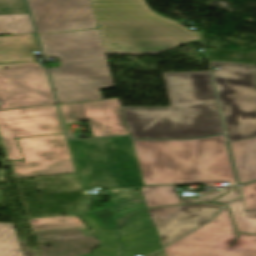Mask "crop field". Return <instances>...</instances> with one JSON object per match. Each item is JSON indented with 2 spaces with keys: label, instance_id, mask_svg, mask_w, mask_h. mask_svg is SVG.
<instances>
[{
  "label": "crop field",
  "instance_id": "obj_11",
  "mask_svg": "<svg viewBox=\"0 0 256 256\" xmlns=\"http://www.w3.org/2000/svg\"><path fill=\"white\" fill-rule=\"evenodd\" d=\"M59 106L65 124L89 119L94 137L129 134L118 98Z\"/></svg>",
  "mask_w": 256,
  "mask_h": 256
},
{
  "label": "crop field",
  "instance_id": "obj_8",
  "mask_svg": "<svg viewBox=\"0 0 256 256\" xmlns=\"http://www.w3.org/2000/svg\"><path fill=\"white\" fill-rule=\"evenodd\" d=\"M17 140L25 160L10 162L16 178L76 172L65 134Z\"/></svg>",
  "mask_w": 256,
  "mask_h": 256
},
{
  "label": "crop field",
  "instance_id": "obj_27",
  "mask_svg": "<svg viewBox=\"0 0 256 256\" xmlns=\"http://www.w3.org/2000/svg\"><path fill=\"white\" fill-rule=\"evenodd\" d=\"M152 256H163V252L160 251V252H158V253H156V254H154V255H152Z\"/></svg>",
  "mask_w": 256,
  "mask_h": 256
},
{
  "label": "crop field",
  "instance_id": "obj_22",
  "mask_svg": "<svg viewBox=\"0 0 256 256\" xmlns=\"http://www.w3.org/2000/svg\"><path fill=\"white\" fill-rule=\"evenodd\" d=\"M28 13L24 0H0V15Z\"/></svg>",
  "mask_w": 256,
  "mask_h": 256
},
{
  "label": "crop field",
  "instance_id": "obj_26",
  "mask_svg": "<svg viewBox=\"0 0 256 256\" xmlns=\"http://www.w3.org/2000/svg\"><path fill=\"white\" fill-rule=\"evenodd\" d=\"M240 195L239 191H238V188L233 190L232 192L226 194L225 196L219 198L218 200L214 201V202H220L222 204H226L236 198H238Z\"/></svg>",
  "mask_w": 256,
  "mask_h": 256
},
{
  "label": "crop field",
  "instance_id": "obj_10",
  "mask_svg": "<svg viewBox=\"0 0 256 256\" xmlns=\"http://www.w3.org/2000/svg\"><path fill=\"white\" fill-rule=\"evenodd\" d=\"M38 34L98 28L90 0H27Z\"/></svg>",
  "mask_w": 256,
  "mask_h": 256
},
{
  "label": "crop field",
  "instance_id": "obj_16",
  "mask_svg": "<svg viewBox=\"0 0 256 256\" xmlns=\"http://www.w3.org/2000/svg\"><path fill=\"white\" fill-rule=\"evenodd\" d=\"M120 243L124 245V251L136 253H149L162 247L154 227L121 237Z\"/></svg>",
  "mask_w": 256,
  "mask_h": 256
},
{
  "label": "crop field",
  "instance_id": "obj_25",
  "mask_svg": "<svg viewBox=\"0 0 256 256\" xmlns=\"http://www.w3.org/2000/svg\"><path fill=\"white\" fill-rule=\"evenodd\" d=\"M92 253L98 256H119L121 252L118 250L109 248L107 246H103L96 249Z\"/></svg>",
  "mask_w": 256,
  "mask_h": 256
},
{
  "label": "crop field",
  "instance_id": "obj_20",
  "mask_svg": "<svg viewBox=\"0 0 256 256\" xmlns=\"http://www.w3.org/2000/svg\"><path fill=\"white\" fill-rule=\"evenodd\" d=\"M116 222L120 237L152 227L148 210L118 219Z\"/></svg>",
  "mask_w": 256,
  "mask_h": 256
},
{
  "label": "crop field",
  "instance_id": "obj_6",
  "mask_svg": "<svg viewBox=\"0 0 256 256\" xmlns=\"http://www.w3.org/2000/svg\"><path fill=\"white\" fill-rule=\"evenodd\" d=\"M166 256H256V236L237 237L228 209L164 249Z\"/></svg>",
  "mask_w": 256,
  "mask_h": 256
},
{
  "label": "crop field",
  "instance_id": "obj_4",
  "mask_svg": "<svg viewBox=\"0 0 256 256\" xmlns=\"http://www.w3.org/2000/svg\"><path fill=\"white\" fill-rule=\"evenodd\" d=\"M59 104L104 99L98 88L114 87L99 29L39 35Z\"/></svg>",
  "mask_w": 256,
  "mask_h": 256
},
{
  "label": "crop field",
  "instance_id": "obj_2",
  "mask_svg": "<svg viewBox=\"0 0 256 256\" xmlns=\"http://www.w3.org/2000/svg\"><path fill=\"white\" fill-rule=\"evenodd\" d=\"M145 185H237L225 135L183 141H132Z\"/></svg>",
  "mask_w": 256,
  "mask_h": 256
},
{
  "label": "crop field",
  "instance_id": "obj_1",
  "mask_svg": "<svg viewBox=\"0 0 256 256\" xmlns=\"http://www.w3.org/2000/svg\"><path fill=\"white\" fill-rule=\"evenodd\" d=\"M163 74L172 107H122L130 135L191 138L224 133L209 71Z\"/></svg>",
  "mask_w": 256,
  "mask_h": 256
},
{
  "label": "crop field",
  "instance_id": "obj_13",
  "mask_svg": "<svg viewBox=\"0 0 256 256\" xmlns=\"http://www.w3.org/2000/svg\"><path fill=\"white\" fill-rule=\"evenodd\" d=\"M37 50L34 34L0 36V64L36 61L33 51Z\"/></svg>",
  "mask_w": 256,
  "mask_h": 256
},
{
  "label": "crop field",
  "instance_id": "obj_3",
  "mask_svg": "<svg viewBox=\"0 0 256 256\" xmlns=\"http://www.w3.org/2000/svg\"><path fill=\"white\" fill-rule=\"evenodd\" d=\"M91 2L107 55L157 54L201 39L199 31L152 12L144 0Z\"/></svg>",
  "mask_w": 256,
  "mask_h": 256
},
{
  "label": "crop field",
  "instance_id": "obj_24",
  "mask_svg": "<svg viewBox=\"0 0 256 256\" xmlns=\"http://www.w3.org/2000/svg\"><path fill=\"white\" fill-rule=\"evenodd\" d=\"M235 187H224L223 191H219V190H212L208 193H206L205 195L200 196L197 199H186V200H181L182 204L185 203H192V202H198V201H211L217 197H219L220 195L228 192L229 190L233 189Z\"/></svg>",
  "mask_w": 256,
  "mask_h": 256
},
{
  "label": "crop field",
  "instance_id": "obj_17",
  "mask_svg": "<svg viewBox=\"0 0 256 256\" xmlns=\"http://www.w3.org/2000/svg\"><path fill=\"white\" fill-rule=\"evenodd\" d=\"M142 191L148 207L181 204L179 195L174 186L144 187Z\"/></svg>",
  "mask_w": 256,
  "mask_h": 256
},
{
  "label": "crop field",
  "instance_id": "obj_21",
  "mask_svg": "<svg viewBox=\"0 0 256 256\" xmlns=\"http://www.w3.org/2000/svg\"><path fill=\"white\" fill-rule=\"evenodd\" d=\"M0 256H23L12 224L0 223Z\"/></svg>",
  "mask_w": 256,
  "mask_h": 256
},
{
  "label": "crop field",
  "instance_id": "obj_19",
  "mask_svg": "<svg viewBox=\"0 0 256 256\" xmlns=\"http://www.w3.org/2000/svg\"><path fill=\"white\" fill-rule=\"evenodd\" d=\"M35 33L28 14L0 16V34Z\"/></svg>",
  "mask_w": 256,
  "mask_h": 256
},
{
  "label": "crop field",
  "instance_id": "obj_5",
  "mask_svg": "<svg viewBox=\"0 0 256 256\" xmlns=\"http://www.w3.org/2000/svg\"><path fill=\"white\" fill-rule=\"evenodd\" d=\"M210 63L230 141L255 137L256 65Z\"/></svg>",
  "mask_w": 256,
  "mask_h": 256
},
{
  "label": "crop field",
  "instance_id": "obj_15",
  "mask_svg": "<svg viewBox=\"0 0 256 256\" xmlns=\"http://www.w3.org/2000/svg\"><path fill=\"white\" fill-rule=\"evenodd\" d=\"M81 218L104 244L120 249L121 245L116 242L117 234L111 207Z\"/></svg>",
  "mask_w": 256,
  "mask_h": 256
},
{
  "label": "crop field",
  "instance_id": "obj_14",
  "mask_svg": "<svg viewBox=\"0 0 256 256\" xmlns=\"http://www.w3.org/2000/svg\"><path fill=\"white\" fill-rule=\"evenodd\" d=\"M239 182L256 180V138L230 143Z\"/></svg>",
  "mask_w": 256,
  "mask_h": 256
},
{
  "label": "crop field",
  "instance_id": "obj_23",
  "mask_svg": "<svg viewBox=\"0 0 256 256\" xmlns=\"http://www.w3.org/2000/svg\"><path fill=\"white\" fill-rule=\"evenodd\" d=\"M246 210L256 209V183L242 186Z\"/></svg>",
  "mask_w": 256,
  "mask_h": 256
},
{
  "label": "crop field",
  "instance_id": "obj_7",
  "mask_svg": "<svg viewBox=\"0 0 256 256\" xmlns=\"http://www.w3.org/2000/svg\"><path fill=\"white\" fill-rule=\"evenodd\" d=\"M51 104L48 75L38 62L0 65V110Z\"/></svg>",
  "mask_w": 256,
  "mask_h": 256
},
{
  "label": "crop field",
  "instance_id": "obj_9",
  "mask_svg": "<svg viewBox=\"0 0 256 256\" xmlns=\"http://www.w3.org/2000/svg\"><path fill=\"white\" fill-rule=\"evenodd\" d=\"M64 133L56 105L0 111V134L10 160L23 159L15 137Z\"/></svg>",
  "mask_w": 256,
  "mask_h": 256
},
{
  "label": "crop field",
  "instance_id": "obj_18",
  "mask_svg": "<svg viewBox=\"0 0 256 256\" xmlns=\"http://www.w3.org/2000/svg\"><path fill=\"white\" fill-rule=\"evenodd\" d=\"M238 232L256 234V210L245 211L243 199L228 205Z\"/></svg>",
  "mask_w": 256,
  "mask_h": 256
},
{
  "label": "crop field",
  "instance_id": "obj_12",
  "mask_svg": "<svg viewBox=\"0 0 256 256\" xmlns=\"http://www.w3.org/2000/svg\"><path fill=\"white\" fill-rule=\"evenodd\" d=\"M221 208L217 204H197L149 211L155 227L158 228L162 246H165L208 221Z\"/></svg>",
  "mask_w": 256,
  "mask_h": 256
}]
</instances>
